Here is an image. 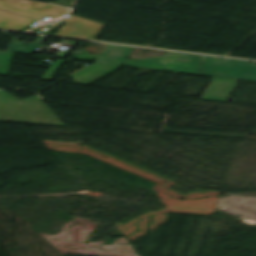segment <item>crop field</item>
<instances>
[{
  "label": "crop field",
  "mask_w": 256,
  "mask_h": 256,
  "mask_svg": "<svg viewBox=\"0 0 256 256\" xmlns=\"http://www.w3.org/2000/svg\"><path fill=\"white\" fill-rule=\"evenodd\" d=\"M68 52L58 51L55 57L65 58Z\"/></svg>",
  "instance_id": "d1516ede"
},
{
  "label": "crop field",
  "mask_w": 256,
  "mask_h": 256,
  "mask_svg": "<svg viewBox=\"0 0 256 256\" xmlns=\"http://www.w3.org/2000/svg\"><path fill=\"white\" fill-rule=\"evenodd\" d=\"M33 19L21 17L12 13H8L0 10V28L21 31L31 22Z\"/></svg>",
  "instance_id": "d8731c3e"
},
{
  "label": "crop field",
  "mask_w": 256,
  "mask_h": 256,
  "mask_svg": "<svg viewBox=\"0 0 256 256\" xmlns=\"http://www.w3.org/2000/svg\"><path fill=\"white\" fill-rule=\"evenodd\" d=\"M132 48L107 45L95 62L201 75V56L165 51V56L126 60Z\"/></svg>",
  "instance_id": "8a807250"
},
{
  "label": "crop field",
  "mask_w": 256,
  "mask_h": 256,
  "mask_svg": "<svg viewBox=\"0 0 256 256\" xmlns=\"http://www.w3.org/2000/svg\"><path fill=\"white\" fill-rule=\"evenodd\" d=\"M203 75L256 82V66L249 61L203 56Z\"/></svg>",
  "instance_id": "34b2d1b8"
},
{
  "label": "crop field",
  "mask_w": 256,
  "mask_h": 256,
  "mask_svg": "<svg viewBox=\"0 0 256 256\" xmlns=\"http://www.w3.org/2000/svg\"><path fill=\"white\" fill-rule=\"evenodd\" d=\"M64 63H65L64 60L54 59L52 65L50 66L48 71L45 73V75L42 77V79L52 81V79L55 77V75L57 74V72L60 70V68Z\"/></svg>",
  "instance_id": "3316defc"
},
{
  "label": "crop field",
  "mask_w": 256,
  "mask_h": 256,
  "mask_svg": "<svg viewBox=\"0 0 256 256\" xmlns=\"http://www.w3.org/2000/svg\"><path fill=\"white\" fill-rule=\"evenodd\" d=\"M0 9L39 20L46 16L59 17L69 11L58 6L26 0H0Z\"/></svg>",
  "instance_id": "412701ff"
},
{
  "label": "crop field",
  "mask_w": 256,
  "mask_h": 256,
  "mask_svg": "<svg viewBox=\"0 0 256 256\" xmlns=\"http://www.w3.org/2000/svg\"><path fill=\"white\" fill-rule=\"evenodd\" d=\"M52 113L37 96L19 101L0 91V121L65 126Z\"/></svg>",
  "instance_id": "ac0d7876"
},
{
  "label": "crop field",
  "mask_w": 256,
  "mask_h": 256,
  "mask_svg": "<svg viewBox=\"0 0 256 256\" xmlns=\"http://www.w3.org/2000/svg\"><path fill=\"white\" fill-rule=\"evenodd\" d=\"M14 53L0 51V74L7 75L10 68V60Z\"/></svg>",
  "instance_id": "28ad6ade"
},
{
  "label": "crop field",
  "mask_w": 256,
  "mask_h": 256,
  "mask_svg": "<svg viewBox=\"0 0 256 256\" xmlns=\"http://www.w3.org/2000/svg\"><path fill=\"white\" fill-rule=\"evenodd\" d=\"M117 67L119 66L94 63L71 77L76 84L89 85Z\"/></svg>",
  "instance_id": "e52e79f7"
},
{
  "label": "crop field",
  "mask_w": 256,
  "mask_h": 256,
  "mask_svg": "<svg viewBox=\"0 0 256 256\" xmlns=\"http://www.w3.org/2000/svg\"><path fill=\"white\" fill-rule=\"evenodd\" d=\"M44 37L38 36L33 44L12 40L7 51L31 55L36 48H39Z\"/></svg>",
  "instance_id": "5a996713"
},
{
  "label": "crop field",
  "mask_w": 256,
  "mask_h": 256,
  "mask_svg": "<svg viewBox=\"0 0 256 256\" xmlns=\"http://www.w3.org/2000/svg\"><path fill=\"white\" fill-rule=\"evenodd\" d=\"M103 28L104 25L71 15L55 35L95 40Z\"/></svg>",
  "instance_id": "f4fd0767"
},
{
  "label": "crop field",
  "mask_w": 256,
  "mask_h": 256,
  "mask_svg": "<svg viewBox=\"0 0 256 256\" xmlns=\"http://www.w3.org/2000/svg\"><path fill=\"white\" fill-rule=\"evenodd\" d=\"M239 81L213 78L201 99L227 102Z\"/></svg>",
  "instance_id": "dd49c442"
}]
</instances>
